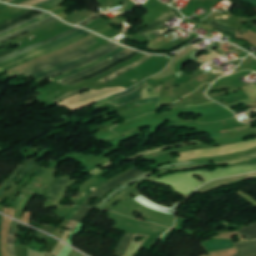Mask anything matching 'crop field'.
I'll use <instances>...</instances> for the list:
<instances>
[{
  "label": "crop field",
  "instance_id": "8a807250",
  "mask_svg": "<svg viewBox=\"0 0 256 256\" xmlns=\"http://www.w3.org/2000/svg\"><path fill=\"white\" fill-rule=\"evenodd\" d=\"M254 171H256V164L242 165L231 168H216L212 172H208L205 169H201L167 175L158 180H155L154 182L173 186L175 188V190L173 191L186 197L197 187L212 179L249 173ZM195 174H197L200 177H203L204 181L200 182L193 178L192 175Z\"/></svg>",
  "mask_w": 256,
  "mask_h": 256
},
{
  "label": "crop field",
  "instance_id": "ac0d7876",
  "mask_svg": "<svg viewBox=\"0 0 256 256\" xmlns=\"http://www.w3.org/2000/svg\"><path fill=\"white\" fill-rule=\"evenodd\" d=\"M254 158H256V153L253 154V155L247 156V157H243V158L235 159V160H231V161L208 162V163L194 165V166L177 167V168H170V169L163 170L157 176L152 175V176L136 183L135 185L127 188L126 190L120 192L115 198H113L110 202H108L102 210H110L116 203L124 200L126 197H128V196L131 197L133 194L135 196L140 194L139 191L136 189V187L138 185H140L145 180L151 182V181H153L154 179H156L160 176L168 174L169 173L168 171H183V170L196 169V168L213 167L212 165H210L211 163H216V165H214V166L229 165V164H233V163H237V162H241V161H246V160H250V159H254Z\"/></svg>",
  "mask_w": 256,
  "mask_h": 256
},
{
  "label": "crop field",
  "instance_id": "34b2d1b8",
  "mask_svg": "<svg viewBox=\"0 0 256 256\" xmlns=\"http://www.w3.org/2000/svg\"><path fill=\"white\" fill-rule=\"evenodd\" d=\"M96 43H98V42L93 40V41H91V42H89V43H87V44H85V45H83L81 47H78V48L72 50L69 53L60 55L58 57L52 58V59L47 60V61H44L42 63H39V64H37V65H35L33 67H30V68L24 70L22 72L10 75L8 77L13 78V77H15V76H17L19 74L25 73L30 78L33 75H35V74H37V73H39L41 71H44L46 69H49L51 67H54V66L59 65V64H62L64 62H67L69 60H72L74 58H77V57H79L81 55H84V54L88 53L87 48L92 46V45H94V44H96Z\"/></svg>",
  "mask_w": 256,
  "mask_h": 256
},
{
  "label": "crop field",
  "instance_id": "412701ff",
  "mask_svg": "<svg viewBox=\"0 0 256 256\" xmlns=\"http://www.w3.org/2000/svg\"><path fill=\"white\" fill-rule=\"evenodd\" d=\"M144 172L140 171L139 169H137L136 167L124 172L116 177H114L113 179L107 181L106 183H104L102 186H100L99 188H97L95 191H93L88 198L86 199L85 203L83 204V206H89V207H93L95 208V206L97 205H89V200L93 197H98L99 199H101L102 196H104L105 194L109 193L110 191H112L113 189L117 188L118 186H120L121 184L139 176L140 174H142ZM99 202V201H98Z\"/></svg>",
  "mask_w": 256,
  "mask_h": 256
},
{
  "label": "crop field",
  "instance_id": "f4fd0767",
  "mask_svg": "<svg viewBox=\"0 0 256 256\" xmlns=\"http://www.w3.org/2000/svg\"><path fill=\"white\" fill-rule=\"evenodd\" d=\"M145 83H147V82L144 80V81L138 83L137 85H135L134 87H132V88H130V89H128V90H126V91L120 93V94L114 95V96H112V97H110V98H108V99H106V100H104V101H102V102H99V103L94 104L93 107L96 108V107L102 105L103 103H105V102H107V101H109V100H112V99H115V98H117V97H119V96H122V95H124V94H127V93H129V92H131V91L137 89L138 87H140L141 85H143V84H145ZM147 85H149V84H147ZM147 85H145V86H147ZM145 86H143V87L137 89L135 92H132V93H130V94L124 96V97L117 98V99H115V100H113V101H110V102H108V103L113 104V105H115V106H119V105H124V104L131 103V102H133V101L141 100V99H142V98H141V92H142V90H143V88H144Z\"/></svg>",
  "mask_w": 256,
  "mask_h": 256
},
{
  "label": "crop field",
  "instance_id": "dd49c442",
  "mask_svg": "<svg viewBox=\"0 0 256 256\" xmlns=\"http://www.w3.org/2000/svg\"><path fill=\"white\" fill-rule=\"evenodd\" d=\"M187 165H194V164L189 163V162L175 163V164H169V165L161 166V167H159L157 169H153V170H159L160 171V170H163V169H166V168H169V167L187 166ZM153 170H151V171H149V172H147V173H145V174H143V175H141V176H139V177L123 184V185H121L119 188L112 191L106 199H103L102 202L99 203V205L96 208L101 210L103 208V206L109 201V199L111 197L115 196L118 192H120L121 190H123V189H125V188H127L131 185H133L134 183L152 175Z\"/></svg>",
  "mask_w": 256,
  "mask_h": 256
},
{
  "label": "crop field",
  "instance_id": "e52e79f7",
  "mask_svg": "<svg viewBox=\"0 0 256 256\" xmlns=\"http://www.w3.org/2000/svg\"><path fill=\"white\" fill-rule=\"evenodd\" d=\"M84 31H85V30H82V29H81V30H79V31H77V32H75V33H73V34H71V35H69V36H67V37H65V38H63V39H60V40H58V41H55V42H53V43H51V44H49V45L36 48V49H34V50H31V51H29V52H26V53H24V54H21V55H19V56H16V57H14V58H12V59L6 61V62L0 63V68L3 67V66H5V65H8V64H10V63H12V62H15V61H17V60H20V59H22V58H24V57H27V56H29V55H31V54H34V53H36V52H39V51H42V50H45V49L54 47V46H56V45L62 44V43H64V42H66V41L72 39L73 37L82 34Z\"/></svg>",
  "mask_w": 256,
  "mask_h": 256
},
{
  "label": "crop field",
  "instance_id": "d8731c3e",
  "mask_svg": "<svg viewBox=\"0 0 256 256\" xmlns=\"http://www.w3.org/2000/svg\"><path fill=\"white\" fill-rule=\"evenodd\" d=\"M89 35H90V33L86 32V33L82 34L81 36H79V37H77V38H75V39H73V40H71V41H69V42H67V43H65V44H62V45H60V46H58V47L51 48V49H48V50H45V51L36 53V54H34V55H32V56H29V57H27V58H24V59L18 61V62H16V63L12 64V65H9V66H6V67H4V68H1V69H0V72H3V71L8 70V69H10V68H13V67H16V66H18V65L24 64V63H26V62H28V61L34 59V58H37V57H39V56H41V55H44V54H47V53H50V52H53V51L62 49V48L66 47V46H68V45H70V44H73V43H75V42H77V41H79V40H81V39H83V38H85V37H87V36H89Z\"/></svg>",
  "mask_w": 256,
  "mask_h": 256
},
{
  "label": "crop field",
  "instance_id": "5a996713",
  "mask_svg": "<svg viewBox=\"0 0 256 256\" xmlns=\"http://www.w3.org/2000/svg\"><path fill=\"white\" fill-rule=\"evenodd\" d=\"M119 47H121V46L115 44L112 47L108 48L107 50H105L104 52H102V53H100V54H98L96 56H93V57H91V58H89V59H87V60H85L83 62H80V63L74 64V65L68 66V67H66L64 69H61V70L57 71V72H54V73L48 74L46 76H43V77L37 79L36 81H37V83H39V82L44 81L46 79H49V78H51V77H53L55 75H58V74L65 73L67 71L76 69V68H78V67H80L82 65H85V64H87V63H89L91 61H94V60H96V59H98V58H100V57H102V56L112 52L113 50H115V49H117Z\"/></svg>",
  "mask_w": 256,
  "mask_h": 256
},
{
  "label": "crop field",
  "instance_id": "3316defc",
  "mask_svg": "<svg viewBox=\"0 0 256 256\" xmlns=\"http://www.w3.org/2000/svg\"><path fill=\"white\" fill-rule=\"evenodd\" d=\"M137 53H138V52L133 51V52L129 53L128 55L124 56L123 58H121V59H119V60H117V61H115V62H113V63H111V64H109V65H107V66H105V67H103V68H101V69H99V70L96 71V72H93V73H91V74L85 75V76H83V77H80V78H78V79H76V80H73V81L68 82V83H66V84H63V85H70V86H72V85H75V84H77V83H79V82H81V81H84V80L90 79V78H92V77H94V76H97V75H99V74H101V73L107 71L108 69L114 67L115 65H117V64H119V63H121V62H123V61L128 60L129 58L133 57V56H134L135 54H137Z\"/></svg>",
  "mask_w": 256,
  "mask_h": 256
},
{
  "label": "crop field",
  "instance_id": "28ad6ade",
  "mask_svg": "<svg viewBox=\"0 0 256 256\" xmlns=\"http://www.w3.org/2000/svg\"><path fill=\"white\" fill-rule=\"evenodd\" d=\"M71 176H63L56 179L50 186V188L44 193L43 197L54 201L59 192L64 188Z\"/></svg>",
  "mask_w": 256,
  "mask_h": 256
},
{
  "label": "crop field",
  "instance_id": "d1516ede",
  "mask_svg": "<svg viewBox=\"0 0 256 256\" xmlns=\"http://www.w3.org/2000/svg\"><path fill=\"white\" fill-rule=\"evenodd\" d=\"M113 44H114V43L109 42V43L103 45L102 47L98 48L97 50H95V51H93V52H90L89 54H86V55H84V56H81V57H79V58H77V59H74V60L69 61V62H67V63H64V64H62V65H59V66H57V67H54V68H51V69L46 70V71H44V72H41V73H39V74L33 76V78L41 77V76H43V75L46 74V73H50V72L56 71V70H58V69H61V68H63V67H66V66H68V65L74 64V63L79 62V61H82V60H84V59H87V58H89V57H91V56H93V55H95V54H97V53H99V52H101V51L107 49L108 47H110V46L113 45Z\"/></svg>",
  "mask_w": 256,
  "mask_h": 256
},
{
  "label": "crop field",
  "instance_id": "22f410ed",
  "mask_svg": "<svg viewBox=\"0 0 256 256\" xmlns=\"http://www.w3.org/2000/svg\"><path fill=\"white\" fill-rule=\"evenodd\" d=\"M125 49H126V48L121 47V48H119V49L113 51L112 53H110V54H108V55H106V56H104V57H102V58H100V59H98V60H96V61H94V62H92V63H90V64H88V65H86V66H84V67H82V68H79V69H76V70H74V71H71V72L62 74V75H60V76L53 77V78H51V79H49V80H50L51 82H53V81H57V80H60V79H63V78L72 76V75H74V74H77V73H79V72H81V71H83V70H85V69H87V68H89V67H92V66H94V65H96V64H98V63H100V62H102V61H104V60H106V59H108V58H111V57L115 56L116 54L120 53L121 51H123V50H125Z\"/></svg>",
  "mask_w": 256,
  "mask_h": 256
},
{
  "label": "crop field",
  "instance_id": "cbeb9de0",
  "mask_svg": "<svg viewBox=\"0 0 256 256\" xmlns=\"http://www.w3.org/2000/svg\"><path fill=\"white\" fill-rule=\"evenodd\" d=\"M76 30H78V28H73V29H71V30H69V31H67V32H64V33H62V34H60V35H57V36H55V37H53V38H51V39H48V40H46V41H43V42H40V43H37V44H34V45H31V46H29V47H27V48H25V49H22V50H20V51H17V52H15V53H12V54H10V55L4 57V58H1V59H0V62H3V61H5V60H7V59H9V58H11V57H14V56H16V55H19V54H21V53H24V52H26V51H29V50L34 49V48H36V47H39V46H41V45H44V44L50 43V42H52V41H55V40H57V39L63 38V37H65V36H67V35L73 33V32L76 31Z\"/></svg>",
  "mask_w": 256,
  "mask_h": 256
},
{
  "label": "crop field",
  "instance_id": "5142ce71",
  "mask_svg": "<svg viewBox=\"0 0 256 256\" xmlns=\"http://www.w3.org/2000/svg\"><path fill=\"white\" fill-rule=\"evenodd\" d=\"M131 51H132V50L127 49L126 51H124V52H122V53L116 55L115 57H113V58H111V59H108V60H106V61H104V62H102V63H100V64H98V65H96V66H94V67H92V68H89V69H87V70H85V71H83V72H81V73H79V74H77V75L74 74L75 76H72V77L63 79V80L59 81L58 83L63 84V83H66V82H68V81H71V80H73V79H75V78H78V77H80V76H83V75H85V74L91 73V72H93V71H95V70H97V69H99V68H101V67H103V66H105V65H107V64H109V63H111L112 61H114V60H116V59H118V58H120V57L126 55L127 53H129V52H131Z\"/></svg>",
  "mask_w": 256,
  "mask_h": 256
},
{
  "label": "crop field",
  "instance_id": "d9b57169",
  "mask_svg": "<svg viewBox=\"0 0 256 256\" xmlns=\"http://www.w3.org/2000/svg\"><path fill=\"white\" fill-rule=\"evenodd\" d=\"M133 199L136 200L137 202L153 209V210L163 212V213H167V214H170V215H173V216H174L175 207H176L177 204H179V203L175 204L172 208L159 206V205L153 203L152 201L148 200L147 198H145L141 194L138 195L137 197L133 198Z\"/></svg>",
  "mask_w": 256,
  "mask_h": 256
},
{
  "label": "crop field",
  "instance_id": "733c2abd",
  "mask_svg": "<svg viewBox=\"0 0 256 256\" xmlns=\"http://www.w3.org/2000/svg\"><path fill=\"white\" fill-rule=\"evenodd\" d=\"M36 160L37 159H34L32 162H31V160L30 161H28L27 159L26 160H24L23 161V163H24V165L23 166H19L18 167V169L8 178V180H10V181H14V179L17 177V175L23 170V168H24V170L21 172V174L19 175V177L13 182V183H15V184H17L18 182H21L22 181V179L25 177V175L32 169V167L36 164Z\"/></svg>",
  "mask_w": 256,
  "mask_h": 256
},
{
  "label": "crop field",
  "instance_id": "4a817a6b",
  "mask_svg": "<svg viewBox=\"0 0 256 256\" xmlns=\"http://www.w3.org/2000/svg\"><path fill=\"white\" fill-rule=\"evenodd\" d=\"M177 16L175 12H173L171 9L168 10L165 14H163L157 21H155L153 24H151L149 27L137 32L139 35L143 36L151 31H153L157 26L167 22L168 20L172 19L173 17Z\"/></svg>",
  "mask_w": 256,
  "mask_h": 256
},
{
  "label": "crop field",
  "instance_id": "bc2a9ffb",
  "mask_svg": "<svg viewBox=\"0 0 256 256\" xmlns=\"http://www.w3.org/2000/svg\"><path fill=\"white\" fill-rule=\"evenodd\" d=\"M208 251L235 247L232 240H212L202 243Z\"/></svg>",
  "mask_w": 256,
  "mask_h": 256
},
{
  "label": "crop field",
  "instance_id": "214f88e0",
  "mask_svg": "<svg viewBox=\"0 0 256 256\" xmlns=\"http://www.w3.org/2000/svg\"><path fill=\"white\" fill-rule=\"evenodd\" d=\"M236 247L240 251L235 256H251L256 255V241H246L243 243L236 244Z\"/></svg>",
  "mask_w": 256,
  "mask_h": 256
},
{
  "label": "crop field",
  "instance_id": "92a150f3",
  "mask_svg": "<svg viewBox=\"0 0 256 256\" xmlns=\"http://www.w3.org/2000/svg\"><path fill=\"white\" fill-rule=\"evenodd\" d=\"M55 20H58V19L55 18V17H52V18L47 19V20H45V21H42V22H40V23H36V24H34V25H32V26H30V27H28V28H26V29H24V30H22V31H19V32L14 33V34H11V35H9V36H7V37L0 38V44L3 43V42H5V41H7V40H9V39H12V38L17 37V36H19V35H22V34L28 32V31H30V30H34V29H37V28H39V27H42V26H44V25H46V24H49V23H51V22H53V21H55Z\"/></svg>",
  "mask_w": 256,
  "mask_h": 256
},
{
  "label": "crop field",
  "instance_id": "dafd665d",
  "mask_svg": "<svg viewBox=\"0 0 256 256\" xmlns=\"http://www.w3.org/2000/svg\"><path fill=\"white\" fill-rule=\"evenodd\" d=\"M42 12L36 11V10H31V11L19 16L18 18L14 19L12 21H9L7 23H4V24L0 25V31L3 30V29L9 28V27H11V26L23 21V20H27L29 18H32V17H34V16H36V15L42 13Z\"/></svg>",
  "mask_w": 256,
  "mask_h": 256
},
{
  "label": "crop field",
  "instance_id": "00972430",
  "mask_svg": "<svg viewBox=\"0 0 256 256\" xmlns=\"http://www.w3.org/2000/svg\"><path fill=\"white\" fill-rule=\"evenodd\" d=\"M17 225L18 222L12 221L11 228L9 231V237H8V255L9 256H15V236L17 234Z\"/></svg>",
  "mask_w": 256,
  "mask_h": 256
},
{
  "label": "crop field",
  "instance_id": "a9b5d70f",
  "mask_svg": "<svg viewBox=\"0 0 256 256\" xmlns=\"http://www.w3.org/2000/svg\"><path fill=\"white\" fill-rule=\"evenodd\" d=\"M150 57H152V56L146 55V56H144L142 59H140L139 61H137L136 63H134L133 65H130V66H128V67H125V68L119 70L118 72H116V73H114V74H112V75H110V76L104 78V79L101 80V81H102V82L110 81V80H112V79H114V78L120 76L121 74H123V73H125V72H127V71H129V70H131V69H133V68H135V67H137L138 65L144 63V62H145L146 60H148Z\"/></svg>",
  "mask_w": 256,
  "mask_h": 256
},
{
  "label": "crop field",
  "instance_id": "4177f3b9",
  "mask_svg": "<svg viewBox=\"0 0 256 256\" xmlns=\"http://www.w3.org/2000/svg\"><path fill=\"white\" fill-rule=\"evenodd\" d=\"M133 235L134 234H132V233L126 232V234L124 235V237L122 238V240L120 241L118 246L116 247L115 254H117L118 256H121L123 254V252L129 246V244H130V242L132 240Z\"/></svg>",
  "mask_w": 256,
  "mask_h": 256
},
{
  "label": "crop field",
  "instance_id": "730fd06b",
  "mask_svg": "<svg viewBox=\"0 0 256 256\" xmlns=\"http://www.w3.org/2000/svg\"><path fill=\"white\" fill-rule=\"evenodd\" d=\"M247 239H256V224L237 230Z\"/></svg>",
  "mask_w": 256,
  "mask_h": 256
},
{
  "label": "crop field",
  "instance_id": "eef30255",
  "mask_svg": "<svg viewBox=\"0 0 256 256\" xmlns=\"http://www.w3.org/2000/svg\"><path fill=\"white\" fill-rule=\"evenodd\" d=\"M104 182H106V180L100 179L99 181H97L96 183H94L92 186H90V188L88 190L85 191V193L83 194V196L78 200L76 206H82L83 202L85 201L86 197L97 187H99L100 185H102Z\"/></svg>",
  "mask_w": 256,
  "mask_h": 256
},
{
  "label": "crop field",
  "instance_id": "ae1a2a85",
  "mask_svg": "<svg viewBox=\"0 0 256 256\" xmlns=\"http://www.w3.org/2000/svg\"><path fill=\"white\" fill-rule=\"evenodd\" d=\"M91 208H80V210L71 218V220H75L78 222H83L84 218L90 212Z\"/></svg>",
  "mask_w": 256,
  "mask_h": 256
},
{
  "label": "crop field",
  "instance_id": "d3111659",
  "mask_svg": "<svg viewBox=\"0 0 256 256\" xmlns=\"http://www.w3.org/2000/svg\"><path fill=\"white\" fill-rule=\"evenodd\" d=\"M213 103L209 100H203V101H198L194 103H188V104H182V105H175V106H168L170 109H177V108H185V107H193V106H200V105H205Z\"/></svg>",
  "mask_w": 256,
  "mask_h": 256
},
{
  "label": "crop field",
  "instance_id": "750c4746",
  "mask_svg": "<svg viewBox=\"0 0 256 256\" xmlns=\"http://www.w3.org/2000/svg\"><path fill=\"white\" fill-rule=\"evenodd\" d=\"M47 170V168H40L39 171L35 174V176L33 177L32 181L25 187V189L30 190L32 188V186L35 184V182L37 181V179Z\"/></svg>",
  "mask_w": 256,
  "mask_h": 256
},
{
  "label": "crop field",
  "instance_id": "bd1437ed",
  "mask_svg": "<svg viewBox=\"0 0 256 256\" xmlns=\"http://www.w3.org/2000/svg\"><path fill=\"white\" fill-rule=\"evenodd\" d=\"M48 17H51V16L45 15V16H43V17H40V18H38V19H36V20H34V21H31V22H29V23H27V24H25V25L19 27V28H16V29H14V30H12V31H10V32H7V33L3 34V35H0V37L6 36V35H8V34H11V33L15 32V31L21 30V29H23V28H25V27H27V26L33 24V23L38 22V21L41 20V19L48 18Z\"/></svg>",
  "mask_w": 256,
  "mask_h": 256
},
{
  "label": "crop field",
  "instance_id": "1d83c4d3",
  "mask_svg": "<svg viewBox=\"0 0 256 256\" xmlns=\"http://www.w3.org/2000/svg\"><path fill=\"white\" fill-rule=\"evenodd\" d=\"M212 25H214L215 27L221 29V30H228V31H232L234 32L236 30V28H233V27H230V26H227L219 21H214L212 23H210Z\"/></svg>",
  "mask_w": 256,
  "mask_h": 256
},
{
  "label": "crop field",
  "instance_id": "120bbe31",
  "mask_svg": "<svg viewBox=\"0 0 256 256\" xmlns=\"http://www.w3.org/2000/svg\"><path fill=\"white\" fill-rule=\"evenodd\" d=\"M83 89H85V88H82V89H80L78 91H73V92L67 93L64 96L54 100V102L60 103L61 101L65 100V99H67V98H69L71 96H75L76 94L81 93V90H83Z\"/></svg>",
  "mask_w": 256,
  "mask_h": 256
},
{
  "label": "crop field",
  "instance_id": "d32e631a",
  "mask_svg": "<svg viewBox=\"0 0 256 256\" xmlns=\"http://www.w3.org/2000/svg\"><path fill=\"white\" fill-rule=\"evenodd\" d=\"M45 14H48V13L45 12V13H43V14H41V15H38V16H36V17H34V18L30 19V20L24 21V22H22V23H20V24H18V25H15V26H13V27H11V28H9V29H6V30L0 32V34H3V33L7 32V31H9V30H11V29H13V28H16V27H18V26H21V25H23V24H25V23H27V22L33 20V19H36V18H38V17H40V16L45 15Z\"/></svg>",
  "mask_w": 256,
  "mask_h": 256
},
{
  "label": "crop field",
  "instance_id": "5866460e",
  "mask_svg": "<svg viewBox=\"0 0 256 256\" xmlns=\"http://www.w3.org/2000/svg\"><path fill=\"white\" fill-rule=\"evenodd\" d=\"M99 17H102V16L99 15V14H97V15L91 17L90 19H88V20H86V21L80 23L79 25H80V26H86V25H88L90 22H92V21L98 19Z\"/></svg>",
  "mask_w": 256,
  "mask_h": 256
},
{
  "label": "crop field",
  "instance_id": "028f5c9d",
  "mask_svg": "<svg viewBox=\"0 0 256 256\" xmlns=\"http://www.w3.org/2000/svg\"><path fill=\"white\" fill-rule=\"evenodd\" d=\"M25 195H26V193L21 192L20 196L18 195L19 197H18V199L16 198L17 200H16V202L12 205V207L17 208L18 205L21 203V201L24 199Z\"/></svg>",
  "mask_w": 256,
  "mask_h": 256
},
{
  "label": "crop field",
  "instance_id": "e1f06a70",
  "mask_svg": "<svg viewBox=\"0 0 256 256\" xmlns=\"http://www.w3.org/2000/svg\"><path fill=\"white\" fill-rule=\"evenodd\" d=\"M156 101H159L158 97L154 98V99H147V100L137 101L136 103L139 104V105H142V104L156 102Z\"/></svg>",
  "mask_w": 256,
  "mask_h": 256
},
{
  "label": "crop field",
  "instance_id": "0bd39190",
  "mask_svg": "<svg viewBox=\"0 0 256 256\" xmlns=\"http://www.w3.org/2000/svg\"><path fill=\"white\" fill-rule=\"evenodd\" d=\"M12 183H10L9 181H5L3 186L0 188V197L1 195L4 193V191L11 185Z\"/></svg>",
  "mask_w": 256,
  "mask_h": 256
},
{
  "label": "crop field",
  "instance_id": "b80d0937",
  "mask_svg": "<svg viewBox=\"0 0 256 256\" xmlns=\"http://www.w3.org/2000/svg\"><path fill=\"white\" fill-rule=\"evenodd\" d=\"M79 208L73 207L64 218L70 219L78 210Z\"/></svg>",
  "mask_w": 256,
  "mask_h": 256
},
{
  "label": "crop field",
  "instance_id": "c035e120",
  "mask_svg": "<svg viewBox=\"0 0 256 256\" xmlns=\"http://www.w3.org/2000/svg\"><path fill=\"white\" fill-rule=\"evenodd\" d=\"M42 1H45V0H30V1L26 2V3L21 4V5H25V4L33 2V3L29 4V5H27V6H31V5H34L36 3L42 2Z\"/></svg>",
  "mask_w": 256,
  "mask_h": 256
},
{
  "label": "crop field",
  "instance_id": "c21b1889",
  "mask_svg": "<svg viewBox=\"0 0 256 256\" xmlns=\"http://www.w3.org/2000/svg\"><path fill=\"white\" fill-rule=\"evenodd\" d=\"M52 1H55V0H49V1H46V2H42V3H39V4L34 5L33 7H37V6H40V5H43V4L52 2Z\"/></svg>",
  "mask_w": 256,
  "mask_h": 256
},
{
  "label": "crop field",
  "instance_id": "03da06ac",
  "mask_svg": "<svg viewBox=\"0 0 256 256\" xmlns=\"http://www.w3.org/2000/svg\"><path fill=\"white\" fill-rule=\"evenodd\" d=\"M12 52H13L12 49H10V50H8V51H6V52L1 53V54H0V57H1V56H4V55H7V54H9V53H12Z\"/></svg>",
  "mask_w": 256,
  "mask_h": 256
},
{
  "label": "crop field",
  "instance_id": "b54c1fbb",
  "mask_svg": "<svg viewBox=\"0 0 256 256\" xmlns=\"http://www.w3.org/2000/svg\"><path fill=\"white\" fill-rule=\"evenodd\" d=\"M243 1L248 2V3L253 4V5L256 6V0H243Z\"/></svg>",
  "mask_w": 256,
  "mask_h": 256
},
{
  "label": "crop field",
  "instance_id": "5d738f31",
  "mask_svg": "<svg viewBox=\"0 0 256 256\" xmlns=\"http://www.w3.org/2000/svg\"><path fill=\"white\" fill-rule=\"evenodd\" d=\"M1 219H2V216L0 215V236H1ZM1 256V254H0Z\"/></svg>",
  "mask_w": 256,
  "mask_h": 256
},
{
  "label": "crop field",
  "instance_id": "d23c7cc5",
  "mask_svg": "<svg viewBox=\"0 0 256 256\" xmlns=\"http://www.w3.org/2000/svg\"><path fill=\"white\" fill-rule=\"evenodd\" d=\"M19 1H21V0H15V1L11 2V4L17 3Z\"/></svg>",
  "mask_w": 256,
  "mask_h": 256
},
{
  "label": "crop field",
  "instance_id": "425ffa30",
  "mask_svg": "<svg viewBox=\"0 0 256 256\" xmlns=\"http://www.w3.org/2000/svg\"><path fill=\"white\" fill-rule=\"evenodd\" d=\"M6 7H7V5H3L2 7H0V10L4 9Z\"/></svg>",
  "mask_w": 256,
  "mask_h": 256
},
{
  "label": "crop field",
  "instance_id": "25e5ab78",
  "mask_svg": "<svg viewBox=\"0 0 256 256\" xmlns=\"http://www.w3.org/2000/svg\"><path fill=\"white\" fill-rule=\"evenodd\" d=\"M44 256H49V254H47V253H44Z\"/></svg>",
  "mask_w": 256,
  "mask_h": 256
},
{
  "label": "crop field",
  "instance_id": "73cf0c24",
  "mask_svg": "<svg viewBox=\"0 0 256 256\" xmlns=\"http://www.w3.org/2000/svg\"><path fill=\"white\" fill-rule=\"evenodd\" d=\"M10 1H12V0H6V2H10Z\"/></svg>",
  "mask_w": 256,
  "mask_h": 256
},
{
  "label": "crop field",
  "instance_id": "89e229c0",
  "mask_svg": "<svg viewBox=\"0 0 256 256\" xmlns=\"http://www.w3.org/2000/svg\"><path fill=\"white\" fill-rule=\"evenodd\" d=\"M1 1H4V0H1Z\"/></svg>",
  "mask_w": 256,
  "mask_h": 256
},
{
  "label": "crop field",
  "instance_id": "1f2cbd36",
  "mask_svg": "<svg viewBox=\"0 0 256 256\" xmlns=\"http://www.w3.org/2000/svg\"><path fill=\"white\" fill-rule=\"evenodd\" d=\"M136 256V255H135Z\"/></svg>",
  "mask_w": 256,
  "mask_h": 256
}]
</instances>
